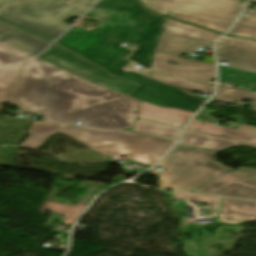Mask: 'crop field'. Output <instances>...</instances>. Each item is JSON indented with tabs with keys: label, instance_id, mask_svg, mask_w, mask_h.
Wrapping results in <instances>:
<instances>
[{
	"label": "crop field",
	"instance_id": "412701ff",
	"mask_svg": "<svg viewBox=\"0 0 256 256\" xmlns=\"http://www.w3.org/2000/svg\"><path fill=\"white\" fill-rule=\"evenodd\" d=\"M97 0H19L0 12V20L53 42Z\"/></svg>",
	"mask_w": 256,
	"mask_h": 256
},
{
	"label": "crop field",
	"instance_id": "214f88e0",
	"mask_svg": "<svg viewBox=\"0 0 256 256\" xmlns=\"http://www.w3.org/2000/svg\"><path fill=\"white\" fill-rule=\"evenodd\" d=\"M150 77L179 88H184V89H189V90H194V91H199V92H204L209 94H212L214 89V85L212 84H207L203 82L188 80L184 78H179V77H174V76H169V75H164V74H159L154 72H151Z\"/></svg>",
	"mask_w": 256,
	"mask_h": 256
},
{
	"label": "crop field",
	"instance_id": "028f5c9d",
	"mask_svg": "<svg viewBox=\"0 0 256 256\" xmlns=\"http://www.w3.org/2000/svg\"><path fill=\"white\" fill-rule=\"evenodd\" d=\"M133 44H127L125 47H127L128 49H131V50H134L135 51V48H136V46L134 45V46H132ZM127 60H128V58H127Z\"/></svg>",
	"mask_w": 256,
	"mask_h": 256
},
{
	"label": "crop field",
	"instance_id": "1d83c4d3",
	"mask_svg": "<svg viewBox=\"0 0 256 256\" xmlns=\"http://www.w3.org/2000/svg\"><path fill=\"white\" fill-rule=\"evenodd\" d=\"M54 220H57L59 223L63 222L62 220L59 219V217L51 215L50 220L48 221L46 227L49 228L50 225L54 222Z\"/></svg>",
	"mask_w": 256,
	"mask_h": 256
},
{
	"label": "crop field",
	"instance_id": "5866460e",
	"mask_svg": "<svg viewBox=\"0 0 256 256\" xmlns=\"http://www.w3.org/2000/svg\"><path fill=\"white\" fill-rule=\"evenodd\" d=\"M216 111H211V110H206V109H202V111L200 113L202 114H207V115H211L213 113H215Z\"/></svg>",
	"mask_w": 256,
	"mask_h": 256
},
{
	"label": "crop field",
	"instance_id": "733c2abd",
	"mask_svg": "<svg viewBox=\"0 0 256 256\" xmlns=\"http://www.w3.org/2000/svg\"><path fill=\"white\" fill-rule=\"evenodd\" d=\"M179 142L191 144L199 147H205L212 150H220V149H225V148L234 147L238 145H245V146L256 148V146H253V145L244 144V143L227 140L219 137H214V136L197 133L189 130L185 131V133L180 138Z\"/></svg>",
	"mask_w": 256,
	"mask_h": 256
},
{
	"label": "crop field",
	"instance_id": "e52e79f7",
	"mask_svg": "<svg viewBox=\"0 0 256 256\" xmlns=\"http://www.w3.org/2000/svg\"><path fill=\"white\" fill-rule=\"evenodd\" d=\"M243 5L238 0H172L169 10L232 23Z\"/></svg>",
	"mask_w": 256,
	"mask_h": 256
},
{
	"label": "crop field",
	"instance_id": "28ad6ade",
	"mask_svg": "<svg viewBox=\"0 0 256 256\" xmlns=\"http://www.w3.org/2000/svg\"><path fill=\"white\" fill-rule=\"evenodd\" d=\"M25 54L0 43V102H4L27 56Z\"/></svg>",
	"mask_w": 256,
	"mask_h": 256
},
{
	"label": "crop field",
	"instance_id": "34b2d1b8",
	"mask_svg": "<svg viewBox=\"0 0 256 256\" xmlns=\"http://www.w3.org/2000/svg\"><path fill=\"white\" fill-rule=\"evenodd\" d=\"M56 132L68 134L104 156L130 152L129 160L149 165L154 164L172 144L134 133L33 121L28 131L30 136L21 146L38 149Z\"/></svg>",
	"mask_w": 256,
	"mask_h": 256
},
{
	"label": "crop field",
	"instance_id": "0bd39190",
	"mask_svg": "<svg viewBox=\"0 0 256 256\" xmlns=\"http://www.w3.org/2000/svg\"><path fill=\"white\" fill-rule=\"evenodd\" d=\"M253 1H256V0H253Z\"/></svg>",
	"mask_w": 256,
	"mask_h": 256
},
{
	"label": "crop field",
	"instance_id": "ae1a2a85",
	"mask_svg": "<svg viewBox=\"0 0 256 256\" xmlns=\"http://www.w3.org/2000/svg\"><path fill=\"white\" fill-rule=\"evenodd\" d=\"M229 33L247 37V38L256 39V29L255 28H249V27L235 25V27Z\"/></svg>",
	"mask_w": 256,
	"mask_h": 256
},
{
	"label": "crop field",
	"instance_id": "d1516ede",
	"mask_svg": "<svg viewBox=\"0 0 256 256\" xmlns=\"http://www.w3.org/2000/svg\"><path fill=\"white\" fill-rule=\"evenodd\" d=\"M215 222L235 225L256 222V202L222 198L221 215Z\"/></svg>",
	"mask_w": 256,
	"mask_h": 256
},
{
	"label": "crop field",
	"instance_id": "f4fd0767",
	"mask_svg": "<svg viewBox=\"0 0 256 256\" xmlns=\"http://www.w3.org/2000/svg\"><path fill=\"white\" fill-rule=\"evenodd\" d=\"M217 152L177 144L158 166L159 187L193 191L230 170L214 162Z\"/></svg>",
	"mask_w": 256,
	"mask_h": 256
},
{
	"label": "crop field",
	"instance_id": "bc2a9ffb",
	"mask_svg": "<svg viewBox=\"0 0 256 256\" xmlns=\"http://www.w3.org/2000/svg\"><path fill=\"white\" fill-rule=\"evenodd\" d=\"M133 131L175 141L181 129L137 119Z\"/></svg>",
	"mask_w": 256,
	"mask_h": 256
},
{
	"label": "crop field",
	"instance_id": "4177f3b9",
	"mask_svg": "<svg viewBox=\"0 0 256 256\" xmlns=\"http://www.w3.org/2000/svg\"><path fill=\"white\" fill-rule=\"evenodd\" d=\"M143 5L160 14L167 15L171 0H141Z\"/></svg>",
	"mask_w": 256,
	"mask_h": 256
},
{
	"label": "crop field",
	"instance_id": "e1f06a70",
	"mask_svg": "<svg viewBox=\"0 0 256 256\" xmlns=\"http://www.w3.org/2000/svg\"><path fill=\"white\" fill-rule=\"evenodd\" d=\"M254 109V111H256V108H253Z\"/></svg>",
	"mask_w": 256,
	"mask_h": 256
},
{
	"label": "crop field",
	"instance_id": "d3111659",
	"mask_svg": "<svg viewBox=\"0 0 256 256\" xmlns=\"http://www.w3.org/2000/svg\"><path fill=\"white\" fill-rule=\"evenodd\" d=\"M244 13L248 15L246 17H240L236 24L256 28V11L245 9Z\"/></svg>",
	"mask_w": 256,
	"mask_h": 256
},
{
	"label": "crop field",
	"instance_id": "730fd06b",
	"mask_svg": "<svg viewBox=\"0 0 256 256\" xmlns=\"http://www.w3.org/2000/svg\"><path fill=\"white\" fill-rule=\"evenodd\" d=\"M173 194L175 197L181 198V199H195L203 202H212V203H217V197H212V196H204V195H199V194H192V193H184V192H177L173 191Z\"/></svg>",
	"mask_w": 256,
	"mask_h": 256
},
{
	"label": "crop field",
	"instance_id": "bd1437ed",
	"mask_svg": "<svg viewBox=\"0 0 256 256\" xmlns=\"http://www.w3.org/2000/svg\"><path fill=\"white\" fill-rule=\"evenodd\" d=\"M18 0H0V11L12 4H14L15 2H17Z\"/></svg>",
	"mask_w": 256,
	"mask_h": 256
},
{
	"label": "crop field",
	"instance_id": "120bbe31",
	"mask_svg": "<svg viewBox=\"0 0 256 256\" xmlns=\"http://www.w3.org/2000/svg\"><path fill=\"white\" fill-rule=\"evenodd\" d=\"M229 119L236 120V121H238V123L245 124V122L243 121V119L241 118L240 115H234V116L230 117Z\"/></svg>",
	"mask_w": 256,
	"mask_h": 256
},
{
	"label": "crop field",
	"instance_id": "750c4746",
	"mask_svg": "<svg viewBox=\"0 0 256 256\" xmlns=\"http://www.w3.org/2000/svg\"><path fill=\"white\" fill-rule=\"evenodd\" d=\"M187 225H186L187 227L184 228L183 232L190 234L191 237L193 238L192 242H196V240H198V237H199V235H196V233H198L197 227L200 224L192 225V224L187 223Z\"/></svg>",
	"mask_w": 256,
	"mask_h": 256
},
{
	"label": "crop field",
	"instance_id": "5a996713",
	"mask_svg": "<svg viewBox=\"0 0 256 256\" xmlns=\"http://www.w3.org/2000/svg\"><path fill=\"white\" fill-rule=\"evenodd\" d=\"M160 57L162 59H159ZM168 61L176 62L179 66L169 65ZM151 70L205 82H210V78L215 77V68L212 64L160 53L156 54Z\"/></svg>",
	"mask_w": 256,
	"mask_h": 256
},
{
	"label": "crop field",
	"instance_id": "22f410ed",
	"mask_svg": "<svg viewBox=\"0 0 256 256\" xmlns=\"http://www.w3.org/2000/svg\"><path fill=\"white\" fill-rule=\"evenodd\" d=\"M193 115L178 109L161 108L143 102L138 118L183 128Z\"/></svg>",
	"mask_w": 256,
	"mask_h": 256
},
{
	"label": "crop field",
	"instance_id": "cbeb9de0",
	"mask_svg": "<svg viewBox=\"0 0 256 256\" xmlns=\"http://www.w3.org/2000/svg\"><path fill=\"white\" fill-rule=\"evenodd\" d=\"M187 129L256 145V129L244 125L232 130L194 119Z\"/></svg>",
	"mask_w": 256,
	"mask_h": 256
},
{
	"label": "crop field",
	"instance_id": "d32e631a",
	"mask_svg": "<svg viewBox=\"0 0 256 256\" xmlns=\"http://www.w3.org/2000/svg\"><path fill=\"white\" fill-rule=\"evenodd\" d=\"M205 209L210 212V216L216 213V205Z\"/></svg>",
	"mask_w": 256,
	"mask_h": 256
},
{
	"label": "crop field",
	"instance_id": "92a150f3",
	"mask_svg": "<svg viewBox=\"0 0 256 256\" xmlns=\"http://www.w3.org/2000/svg\"><path fill=\"white\" fill-rule=\"evenodd\" d=\"M219 68H220V80L222 81H226L234 84H241L244 86H247L249 83L256 84V73L244 72V71L230 69L222 66H219ZM229 73L234 74L235 76L233 77L228 76ZM241 79H243L244 81L240 82ZM252 90L256 92V85L253 87Z\"/></svg>",
	"mask_w": 256,
	"mask_h": 256
},
{
	"label": "crop field",
	"instance_id": "ac0d7876",
	"mask_svg": "<svg viewBox=\"0 0 256 256\" xmlns=\"http://www.w3.org/2000/svg\"><path fill=\"white\" fill-rule=\"evenodd\" d=\"M6 102L40 114L42 120L118 130L133 126L140 104L31 56Z\"/></svg>",
	"mask_w": 256,
	"mask_h": 256
},
{
	"label": "crop field",
	"instance_id": "d8731c3e",
	"mask_svg": "<svg viewBox=\"0 0 256 256\" xmlns=\"http://www.w3.org/2000/svg\"><path fill=\"white\" fill-rule=\"evenodd\" d=\"M197 192L256 200V170L241 169L196 189Z\"/></svg>",
	"mask_w": 256,
	"mask_h": 256
},
{
	"label": "crop field",
	"instance_id": "8a807250",
	"mask_svg": "<svg viewBox=\"0 0 256 256\" xmlns=\"http://www.w3.org/2000/svg\"><path fill=\"white\" fill-rule=\"evenodd\" d=\"M84 17L99 19L101 23L93 30L72 26L55 43L93 61L112 75L140 84L129 97L193 113L203 105L204 100L194 99L182 89L148 78L150 71L146 69L133 71L132 62L126 60L132 51L121 45L134 43L137 49L129 59L151 68L165 17L150 13L136 0H101ZM122 67L131 71L126 72Z\"/></svg>",
	"mask_w": 256,
	"mask_h": 256
},
{
	"label": "crop field",
	"instance_id": "3316defc",
	"mask_svg": "<svg viewBox=\"0 0 256 256\" xmlns=\"http://www.w3.org/2000/svg\"><path fill=\"white\" fill-rule=\"evenodd\" d=\"M0 42L23 53L39 55L51 42L42 40L8 24L0 23Z\"/></svg>",
	"mask_w": 256,
	"mask_h": 256
},
{
	"label": "crop field",
	"instance_id": "4a817a6b",
	"mask_svg": "<svg viewBox=\"0 0 256 256\" xmlns=\"http://www.w3.org/2000/svg\"><path fill=\"white\" fill-rule=\"evenodd\" d=\"M164 32L215 42L220 36L212 31L168 18Z\"/></svg>",
	"mask_w": 256,
	"mask_h": 256
},
{
	"label": "crop field",
	"instance_id": "5142ce71",
	"mask_svg": "<svg viewBox=\"0 0 256 256\" xmlns=\"http://www.w3.org/2000/svg\"><path fill=\"white\" fill-rule=\"evenodd\" d=\"M218 60H225L228 66L256 72V51L226 45H217Z\"/></svg>",
	"mask_w": 256,
	"mask_h": 256
},
{
	"label": "crop field",
	"instance_id": "dafd665d",
	"mask_svg": "<svg viewBox=\"0 0 256 256\" xmlns=\"http://www.w3.org/2000/svg\"><path fill=\"white\" fill-rule=\"evenodd\" d=\"M214 99L230 102H240L242 99H248L255 101L253 105L256 106V94L235 90L223 86H219Z\"/></svg>",
	"mask_w": 256,
	"mask_h": 256
},
{
	"label": "crop field",
	"instance_id": "dd49c442",
	"mask_svg": "<svg viewBox=\"0 0 256 256\" xmlns=\"http://www.w3.org/2000/svg\"><path fill=\"white\" fill-rule=\"evenodd\" d=\"M39 59L91 82L101 88L128 95L137 85L115 78L89 61L52 45Z\"/></svg>",
	"mask_w": 256,
	"mask_h": 256
},
{
	"label": "crop field",
	"instance_id": "d9b57169",
	"mask_svg": "<svg viewBox=\"0 0 256 256\" xmlns=\"http://www.w3.org/2000/svg\"><path fill=\"white\" fill-rule=\"evenodd\" d=\"M212 45V42L163 33L158 52L178 56L181 52L194 50L196 46L212 48Z\"/></svg>",
	"mask_w": 256,
	"mask_h": 256
},
{
	"label": "crop field",
	"instance_id": "00972430",
	"mask_svg": "<svg viewBox=\"0 0 256 256\" xmlns=\"http://www.w3.org/2000/svg\"><path fill=\"white\" fill-rule=\"evenodd\" d=\"M169 16H172V17H175V18H178L181 20L189 21L192 23H196V24L216 30L221 33H223L226 30V28L230 25L229 23L218 22V21H213V20H208V19H202V18L182 15V14H178V13H173V12H170Z\"/></svg>",
	"mask_w": 256,
	"mask_h": 256
},
{
	"label": "crop field",
	"instance_id": "eef30255",
	"mask_svg": "<svg viewBox=\"0 0 256 256\" xmlns=\"http://www.w3.org/2000/svg\"><path fill=\"white\" fill-rule=\"evenodd\" d=\"M221 44L246 48V49H252L256 50V43L246 41V40H236V39H230V38H224L220 41Z\"/></svg>",
	"mask_w": 256,
	"mask_h": 256
},
{
	"label": "crop field",
	"instance_id": "a9b5d70f",
	"mask_svg": "<svg viewBox=\"0 0 256 256\" xmlns=\"http://www.w3.org/2000/svg\"><path fill=\"white\" fill-rule=\"evenodd\" d=\"M44 208L55 210L59 212H63L67 214L66 219L64 221V224H73L71 220L73 218L77 217L80 212L83 211L85 207H79V206H68V205H62V204H56V203H50L47 202V204L44 206Z\"/></svg>",
	"mask_w": 256,
	"mask_h": 256
}]
</instances>
